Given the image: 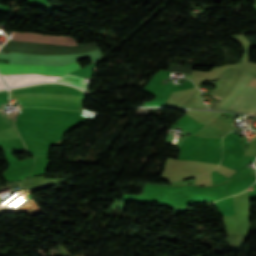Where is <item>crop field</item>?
<instances>
[{
  "instance_id": "1",
  "label": "crop field",
  "mask_w": 256,
  "mask_h": 256,
  "mask_svg": "<svg viewBox=\"0 0 256 256\" xmlns=\"http://www.w3.org/2000/svg\"><path fill=\"white\" fill-rule=\"evenodd\" d=\"M7 81L9 87L22 86L40 83L43 81H59L76 85L87 91L89 83H83L84 78L67 74L63 77L45 76L38 74H25V75H2Z\"/></svg>"
},
{
  "instance_id": "2",
  "label": "crop field",
  "mask_w": 256,
  "mask_h": 256,
  "mask_svg": "<svg viewBox=\"0 0 256 256\" xmlns=\"http://www.w3.org/2000/svg\"><path fill=\"white\" fill-rule=\"evenodd\" d=\"M80 68L78 62L62 66H35V65H17L0 63L1 74H20V73H44L51 75H64Z\"/></svg>"
},
{
  "instance_id": "3",
  "label": "crop field",
  "mask_w": 256,
  "mask_h": 256,
  "mask_svg": "<svg viewBox=\"0 0 256 256\" xmlns=\"http://www.w3.org/2000/svg\"><path fill=\"white\" fill-rule=\"evenodd\" d=\"M13 40L46 42V43L62 44V45H79L74 40L73 37L38 34V33L14 32Z\"/></svg>"
},
{
  "instance_id": "4",
  "label": "crop field",
  "mask_w": 256,
  "mask_h": 256,
  "mask_svg": "<svg viewBox=\"0 0 256 256\" xmlns=\"http://www.w3.org/2000/svg\"><path fill=\"white\" fill-rule=\"evenodd\" d=\"M235 110H256V88L246 86L242 94L229 106Z\"/></svg>"
},
{
  "instance_id": "5",
  "label": "crop field",
  "mask_w": 256,
  "mask_h": 256,
  "mask_svg": "<svg viewBox=\"0 0 256 256\" xmlns=\"http://www.w3.org/2000/svg\"><path fill=\"white\" fill-rule=\"evenodd\" d=\"M192 67L186 66H169L167 71L171 72H183V73H190Z\"/></svg>"
},
{
  "instance_id": "6",
  "label": "crop field",
  "mask_w": 256,
  "mask_h": 256,
  "mask_svg": "<svg viewBox=\"0 0 256 256\" xmlns=\"http://www.w3.org/2000/svg\"><path fill=\"white\" fill-rule=\"evenodd\" d=\"M6 88V86L4 85V83L2 82L1 78H0V89H4Z\"/></svg>"
}]
</instances>
